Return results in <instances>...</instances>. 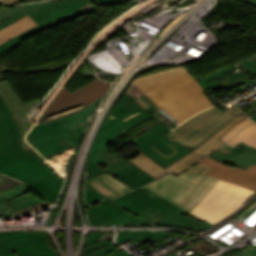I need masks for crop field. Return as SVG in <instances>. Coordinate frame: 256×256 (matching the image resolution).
I'll list each match as a JSON object with an SVG mask.
<instances>
[{"label": "crop field", "instance_id": "crop-field-1", "mask_svg": "<svg viewBox=\"0 0 256 256\" xmlns=\"http://www.w3.org/2000/svg\"><path fill=\"white\" fill-rule=\"evenodd\" d=\"M125 94L133 99L146 94L181 123L213 106L183 66L136 78Z\"/></svg>", "mask_w": 256, "mask_h": 256}, {"label": "crop field", "instance_id": "crop-field-2", "mask_svg": "<svg viewBox=\"0 0 256 256\" xmlns=\"http://www.w3.org/2000/svg\"><path fill=\"white\" fill-rule=\"evenodd\" d=\"M210 169L198 162L177 176L170 174L140 190L189 213L218 181L205 176Z\"/></svg>", "mask_w": 256, "mask_h": 256}, {"label": "crop field", "instance_id": "crop-field-3", "mask_svg": "<svg viewBox=\"0 0 256 256\" xmlns=\"http://www.w3.org/2000/svg\"><path fill=\"white\" fill-rule=\"evenodd\" d=\"M0 173L22 180L51 203H56L64 181L36 155L16 158L7 153L0 155Z\"/></svg>", "mask_w": 256, "mask_h": 256}, {"label": "crop field", "instance_id": "crop-field-4", "mask_svg": "<svg viewBox=\"0 0 256 256\" xmlns=\"http://www.w3.org/2000/svg\"><path fill=\"white\" fill-rule=\"evenodd\" d=\"M253 193L248 189L219 180L190 214L215 224L234 212Z\"/></svg>", "mask_w": 256, "mask_h": 256}, {"label": "crop field", "instance_id": "crop-field-5", "mask_svg": "<svg viewBox=\"0 0 256 256\" xmlns=\"http://www.w3.org/2000/svg\"><path fill=\"white\" fill-rule=\"evenodd\" d=\"M241 113L236 105L222 113L213 107L190 118L173 130L168 136L186 147L194 148Z\"/></svg>", "mask_w": 256, "mask_h": 256}, {"label": "crop field", "instance_id": "crop-field-6", "mask_svg": "<svg viewBox=\"0 0 256 256\" xmlns=\"http://www.w3.org/2000/svg\"><path fill=\"white\" fill-rule=\"evenodd\" d=\"M151 117L153 116L124 94L123 98L109 111L97 134L112 143L131 128Z\"/></svg>", "mask_w": 256, "mask_h": 256}, {"label": "crop field", "instance_id": "crop-field-7", "mask_svg": "<svg viewBox=\"0 0 256 256\" xmlns=\"http://www.w3.org/2000/svg\"><path fill=\"white\" fill-rule=\"evenodd\" d=\"M0 256H56L47 243V232L0 233Z\"/></svg>", "mask_w": 256, "mask_h": 256}, {"label": "crop field", "instance_id": "crop-field-8", "mask_svg": "<svg viewBox=\"0 0 256 256\" xmlns=\"http://www.w3.org/2000/svg\"><path fill=\"white\" fill-rule=\"evenodd\" d=\"M54 3L56 2L35 3L22 11L27 13L42 29L45 30L47 28L98 10L92 2H89L87 4L52 17L46 10L50 8Z\"/></svg>", "mask_w": 256, "mask_h": 256}, {"label": "crop field", "instance_id": "crop-field-9", "mask_svg": "<svg viewBox=\"0 0 256 256\" xmlns=\"http://www.w3.org/2000/svg\"><path fill=\"white\" fill-rule=\"evenodd\" d=\"M61 134L60 129L52 121L35 126L27 139L33 147L48 158L70 148L61 143Z\"/></svg>", "mask_w": 256, "mask_h": 256}, {"label": "crop field", "instance_id": "crop-field-10", "mask_svg": "<svg viewBox=\"0 0 256 256\" xmlns=\"http://www.w3.org/2000/svg\"><path fill=\"white\" fill-rule=\"evenodd\" d=\"M109 85L110 83L97 79L71 94L64 90L60 92L45 114L58 111L80 102L89 105L104 95Z\"/></svg>", "mask_w": 256, "mask_h": 256}, {"label": "crop field", "instance_id": "crop-field-11", "mask_svg": "<svg viewBox=\"0 0 256 256\" xmlns=\"http://www.w3.org/2000/svg\"><path fill=\"white\" fill-rule=\"evenodd\" d=\"M7 152L12 157L32 155L20 147L17 125L0 97V154Z\"/></svg>", "mask_w": 256, "mask_h": 256}, {"label": "crop field", "instance_id": "crop-field-12", "mask_svg": "<svg viewBox=\"0 0 256 256\" xmlns=\"http://www.w3.org/2000/svg\"><path fill=\"white\" fill-rule=\"evenodd\" d=\"M200 162L213 167L207 176L228 181L256 191V169L248 168L246 170H242L220 163L209 157L201 160Z\"/></svg>", "mask_w": 256, "mask_h": 256}, {"label": "crop field", "instance_id": "crop-field-13", "mask_svg": "<svg viewBox=\"0 0 256 256\" xmlns=\"http://www.w3.org/2000/svg\"><path fill=\"white\" fill-rule=\"evenodd\" d=\"M246 116L244 114H241L231 120L228 124H226L222 129H220L214 136L209 138L207 141H205L202 145L195 148L193 152L186 155L179 161L173 163L172 165L166 167L170 172L179 173L188 166L192 165L193 163L197 162L201 158L207 156L208 154L214 152L216 149L220 148L224 143L218 141L223 134H225L230 128L235 126L238 122H240L243 118Z\"/></svg>", "mask_w": 256, "mask_h": 256}, {"label": "crop field", "instance_id": "crop-field-14", "mask_svg": "<svg viewBox=\"0 0 256 256\" xmlns=\"http://www.w3.org/2000/svg\"><path fill=\"white\" fill-rule=\"evenodd\" d=\"M0 95L2 96L5 104L11 110L13 117L20 129L21 144H25L26 142L24 141V135L33 125L31 121H29L27 113L31 107L39 103L40 100L24 105L20 97L10 86L8 80L0 82Z\"/></svg>", "mask_w": 256, "mask_h": 256}, {"label": "crop field", "instance_id": "crop-field-15", "mask_svg": "<svg viewBox=\"0 0 256 256\" xmlns=\"http://www.w3.org/2000/svg\"><path fill=\"white\" fill-rule=\"evenodd\" d=\"M186 213L180 209H176L172 213L162 211L157 208L150 207L144 212L137 216L149 222L150 224H171L177 226H185L197 230H205L211 226L201 222L194 221L185 217L183 214Z\"/></svg>", "mask_w": 256, "mask_h": 256}, {"label": "crop field", "instance_id": "crop-field-16", "mask_svg": "<svg viewBox=\"0 0 256 256\" xmlns=\"http://www.w3.org/2000/svg\"><path fill=\"white\" fill-rule=\"evenodd\" d=\"M190 152L189 149L165 135L143 153L165 168Z\"/></svg>", "mask_w": 256, "mask_h": 256}, {"label": "crop field", "instance_id": "crop-field-17", "mask_svg": "<svg viewBox=\"0 0 256 256\" xmlns=\"http://www.w3.org/2000/svg\"><path fill=\"white\" fill-rule=\"evenodd\" d=\"M210 157L243 169L248 168L252 164L256 165V149L242 142L234 148L226 144L211 154Z\"/></svg>", "mask_w": 256, "mask_h": 256}, {"label": "crop field", "instance_id": "crop-field-18", "mask_svg": "<svg viewBox=\"0 0 256 256\" xmlns=\"http://www.w3.org/2000/svg\"><path fill=\"white\" fill-rule=\"evenodd\" d=\"M140 190V189H139ZM138 189L127 193L123 196L118 198L110 199L112 202L117 204L118 206L124 208L125 210L129 211L133 214H138L143 210L149 208V206L161 208L167 211H173L176 207L166 204L157 200L156 198L149 196Z\"/></svg>", "mask_w": 256, "mask_h": 256}, {"label": "crop field", "instance_id": "crop-field-19", "mask_svg": "<svg viewBox=\"0 0 256 256\" xmlns=\"http://www.w3.org/2000/svg\"><path fill=\"white\" fill-rule=\"evenodd\" d=\"M86 182L99 190L108 198L117 197L127 191L132 190L123 184L120 180L108 173L98 175Z\"/></svg>", "mask_w": 256, "mask_h": 256}, {"label": "crop field", "instance_id": "crop-field-20", "mask_svg": "<svg viewBox=\"0 0 256 256\" xmlns=\"http://www.w3.org/2000/svg\"><path fill=\"white\" fill-rule=\"evenodd\" d=\"M102 98L103 96L78 113L56 120V124L59 126L62 132L72 130L87 124L94 115Z\"/></svg>", "mask_w": 256, "mask_h": 256}, {"label": "crop field", "instance_id": "crop-field-21", "mask_svg": "<svg viewBox=\"0 0 256 256\" xmlns=\"http://www.w3.org/2000/svg\"><path fill=\"white\" fill-rule=\"evenodd\" d=\"M89 222L93 225L125 212L108 199L86 207ZM91 224V225H92Z\"/></svg>", "mask_w": 256, "mask_h": 256}, {"label": "crop field", "instance_id": "crop-field-22", "mask_svg": "<svg viewBox=\"0 0 256 256\" xmlns=\"http://www.w3.org/2000/svg\"><path fill=\"white\" fill-rule=\"evenodd\" d=\"M170 131V129L159 123L135 138L132 143L139 147L141 149L140 151L143 152Z\"/></svg>", "mask_w": 256, "mask_h": 256}, {"label": "crop field", "instance_id": "crop-field-23", "mask_svg": "<svg viewBox=\"0 0 256 256\" xmlns=\"http://www.w3.org/2000/svg\"><path fill=\"white\" fill-rule=\"evenodd\" d=\"M135 101L140 104L145 111L156 117L171 129H174L181 124L155 105L146 95L135 99Z\"/></svg>", "mask_w": 256, "mask_h": 256}, {"label": "crop field", "instance_id": "crop-field-24", "mask_svg": "<svg viewBox=\"0 0 256 256\" xmlns=\"http://www.w3.org/2000/svg\"><path fill=\"white\" fill-rule=\"evenodd\" d=\"M35 26H37V24L28 15L25 16L0 31V44Z\"/></svg>", "mask_w": 256, "mask_h": 256}, {"label": "crop field", "instance_id": "crop-field-25", "mask_svg": "<svg viewBox=\"0 0 256 256\" xmlns=\"http://www.w3.org/2000/svg\"><path fill=\"white\" fill-rule=\"evenodd\" d=\"M130 161L156 179L170 173L141 152Z\"/></svg>", "mask_w": 256, "mask_h": 256}, {"label": "crop field", "instance_id": "crop-field-26", "mask_svg": "<svg viewBox=\"0 0 256 256\" xmlns=\"http://www.w3.org/2000/svg\"><path fill=\"white\" fill-rule=\"evenodd\" d=\"M28 191L30 190H28L25 186L21 184L15 188H11L5 192L0 193V210L3 211L9 209L7 204L4 202L6 200H8L10 204H12L20 200L34 196Z\"/></svg>", "mask_w": 256, "mask_h": 256}, {"label": "crop field", "instance_id": "crop-field-27", "mask_svg": "<svg viewBox=\"0 0 256 256\" xmlns=\"http://www.w3.org/2000/svg\"><path fill=\"white\" fill-rule=\"evenodd\" d=\"M241 141L256 148V123L248 125L227 144L233 147Z\"/></svg>", "mask_w": 256, "mask_h": 256}, {"label": "crop field", "instance_id": "crop-field-28", "mask_svg": "<svg viewBox=\"0 0 256 256\" xmlns=\"http://www.w3.org/2000/svg\"><path fill=\"white\" fill-rule=\"evenodd\" d=\"M115 224H149L138 217L130 214L129 212H125L121 215H118L114 218L106 220L97 225H115Z\"/></svg>", "mask_w": 256, "mask_h": 256}, {"label": "crop field", "instance_id": "crop-field-29", "mask_svg": "<svg viewBox=\"0 0 256 256\" xmlns=\"http://www.w3.org/2000/svg\"><path fill=\"white\" fill-rule=\"evenodd\" d=\"M89 2L88 0H62L60 2H57L54 4L50 9L47 11L52 15L59 14L61 12H64L66 10H69L71 8L77 7L79 5H82L84 3Z\"/></svg>", "mask_w": 256, "mask_h": 256}, {"label": "crop field", "instance_id": "crop-field-30", "mask_svg": "<svg viewBox=\"0 0 256 256\" xmlns=\"http://www.w3.org/2000/svg\"><path fill=\"white\" fill-rule=\"evenodd\" d=\"M43 31L39 26L30 29L22 34H20L19 36L11 39L10 41L0 45V54H2L3 52H5L6 50H8L9 48H11L12 46L16 45L17 43H19L20 41H23L39 32Z\"/></svg>", "mask_w": 256, "mask_h": 256}, {"label": "crop field", "instance_id": "crop-field-31", "mask_svg": "<svg viewBox=\"0 0 256 256\" xmlns=\"http://www.w3.org/2000/svg\"><path fill=\"white\" fill-rule=\"evenodd\" d=\"M87 125L62 134V143L68 146H76Z\"/></svg>", "mask_w": 256, "mask_h": 256}, {"label": "crop field", "instance_id": "crop-field-32", "mask_svg": "<svg viewBox=\"0 0 256 256\" xmlns=\"http://www.w3.org/2000/svg\"><path fill=\"white\" fill-rule=\"evenodd\" d=\"M161 232L162 231H137V232H135V233L119 240V241H117V243L119 245H121V244H123V243H125V242H127V241H129L133 238L135 240H137L138 243H140V242L145 241V240H147V239H149V238H151V237H153V236H155V235H157Z\"/></svg>", "mask_w": 256, "mask_h": 256}, {"label": "crop field", "instance_id": "crop-field-33", "mask_svg": "<svg viewBox=\"0 0 256 256\" xmlns=\"http://www.w3.org/2000/svg\"><path fill=\"white\" fill-rule=\"evenodd\" d=\"M105 197L103 194H101L99 191H97L96 189H94L92 186H90L88 183H86L85 186V202H86V206L95 203L97 201H100Z\"/></svg>", "mask_w": 256, "mask_h": 256}, {"label": "crop field", "instance_id": "crop-field-34", "mask_svg": "<svg viewBox=\"0 0 256 256\" xmlns=\"http://www.w3.org/2000/svg\"><path fill=\"white\" fill-rule=\"evenodd\" d=\"M235 67H236L235 65L234 66H229V67H227L225 69H222V70H220V71H218L216 73H213V74H211V75H209V76H207V77H205L203 79L198 80L197 83L202 87V89L204 91H206L207 89L210 88L206 82H208V81H210V80H212V79H214V78H216V77H218L220 75H223V74L229 72L231 69H233Z\"/></svg>", "mask_w": 256, "mask_h": 256}, {"label": "crop field", "instance_id": "crop-field-35", "mask_svg": "<svg viewBox=\"0 0 256 256\" xmlns=\"http://www.w3.org/2000/svg\"><path fill=\"white\" fill-rule=\"evenodd\" d=\"M250 122H252V120L249 119L248 117H246L240 123H238L235 127H233L231 130H229V132H227L225 135H223L219 140L226 143L235 133H237L242 127H244L245 125H247Z\"/></svg>", "mask_w": 256, "mask_h": 256}, {"label": "crop field", "instance_id": "crop-field-36", "mask_svg": "<svg viewBox=\"0 0 256 256\" xmlns=\"http://www.w3.org/2000/svg\"><path fill=\"white\" fill-rule=\"evenodd\" d=\"M29 5L18 6L14 9L5 6L4 8L0 9V22L9 18L10 16L14 15L15 13L21 11L22 9H24L25 7H27Z\"/></svg>", "mask_w": 256, "mask_h": 256}, {"label": "crop field", "instance_id": "crop-field-37", "mask_svg": "<svg viewBox=\"0 0 256 256\" xmlns=\"http://www.w3.org/2000/svg\"><path fill=\"white\" fill-rule=\"evenodd\" d=\"M42 202L41 199H39L38 197L34 196L32 198L20 201L18 203L12 204V207L15 209V211L20 210V209H25L29 206H32L34 204L40 203Z\"/></svg>", "mask_w": 256, "mask_h": 256}, {"label": "crop field", "instance_id": "crop-field-38", "mask_svg": "<svg viewBox=\"0 0 256 256\" xmlns=\"http://www.w3.org/2000/svg\"><path fill=\"white\" fill-rule=\"evenodd\" d=\"M195 244H196V246H193V245H190V246L195 247L207 254L219 250L217 247H215L214 245H212L211 243H209L208 241L203 240V239L196 242Z\"/></svg>", "mask_w": 256, "mask_h": 256}, {"label": "crop field", "instance_id": "crop-field-39", "mask_svg": "<svg viewBox=\"0 0 256 256\" xmlns=\"http://www.w3.org/2000/svg\"><path fill=\"white\" fill-rule=\"evenodd\" d=\"M119 251L118 249H116L113 245L106 247V248H102L96 251H92L89 253H85L83 254V256H105V255H109L112 254L114 252Z\"/></svg>", "mask_w": 256, "mask_h": 256}, {"label": "crop field", "instance_id": "crop-field-40", "mask_svg": "<svg viewBox=\"0 0 256 256\" xmlns=\"http://www.w3.org/2000/svg\"><path fill=\"white\" fill-rule=\"evenodd\" d=\"M22 183V182H21ZM20 184L19 182L0 175V192Z\"/></svg>", "mask_w": 256, "mask_h": 256}, {"label": "crop field", "instance_id": "crop-field-41", "mask_svg": "<svg viewBox=\"0 0 256 256\" xmlns=\"http://www.w3.org/2000/svg\"><path fill=\"white\" fill-rule=\"evenodd\" d=\"M232 256H256V246L250 244Z\"/></svg>", "mask_w": 256, "mask_h": 256}, {"label": "crop field", "instance_id": "crop-field-42", "mask_svg": "<svg viewBox=\"0 0 256 256\" xmlns=\"http://www.w3.org/2000/svg\"><path fill=\"white\" fill-rule=\"evenodd\" d=\"M109 245H111V242H109L108 240L101 241L98 243L91 244L87 247H84V252L92 251V250L99 249Z\"/></svg>", "mask_w": 256, "mask_h": 256}, {"label": "crop field", "instance_id": "crop-field-43", "mask_svg": "<svg viewBox=\"0 0 256 256\" xmlns=\"http://www.w3.org/2000/svg\"><path fill=\"white\" fill-rule=\"evenodd\" d=\"M25 15H27V14H25V13L22 12V11L19 12V13H17L16 15H14V16L10 17L9 19H7V20L3 21L2 23H0V29H2V28H4V27L8 26L9 24H11V23H13L14 21H16V20L22 18V17L25 16Z\"/></svg>", "mask_w": 256, "mask_h": 256}, {"label": "crop field", "instance_id": "crop-field-44", "mask_svg": "<svg viewBox=\"0 0 256 256\" xmlns=\"http://www.w3.org/2000/svg\"><path fill=\"white\" fill-rule=\"evenodd\" d=\"M101 237H103V235L99 232L89 234V236L87 237L85 246L94 242H98L96 239Z\"/></svg>", "mask_w": 256, "mask_h": 256}, {"label": "crop field", "instance_id": "crop-field-45", "mask_svg": "<svg viewBox=\"0 0 256 256\" xmlns=\"http://www.w3.org/2000/svg\"><path fill=\"white\" fill-rule=\"evenodd\" d=\"M251 63L248 61L242 64L241 66L244 67L246 70H248L254 76L256 75V66Z\"/></svg>", "mask_w": 256, "mask_h": 256}, {"label": "crop field", "instance_id": "crop-field-46", "mask_svg": "<svg viewBox=\"0 0 256 256\" xmlns=\"http://www.w3.org/2000/svg\"><path fill=\"white\" fill-rule=\"evenodd\" d=\"M117 232H118V235H117L116 241L125 237V236H127V235H129V234H131V233H133V232H135V231H117Z\"/></svg>", "mask_w": 256, "mask_h": 256}, {"label": "crop field", "instance_id": "crop-field-47", "mask_svg": "<svg viewBox=\"0 0 256 256\" xmlns=\"http://www.w3.org/2000/svg\"><path fill=\"white\" fill-rule=\"evenodd\" d=\"M170 235L171 234H168V233L164 232V233H161V234H159V235H157V236H155V237H153L151 239L154 240L155 242H157V241H159L161 239H164V238H166V237H168Z\"/></svg>", "mask_w": 256, "mask_h": 256}, {"label": "crop field", "instance_id": "crop-field-48", "mask_svg": "<svg viewBox=\"0 0 256 256\" xmlns=\"http://www.w3.org/2000/svg\"><path fill=\"white\" fill-rule=\"evenodd\" d=\"M21 147L26 150V151H30V152H33L35 153L39 158L40 160H43V158L41 156H39L30 146H28L27 144L25 145H21Z\"/></svg>", "mask_w": 256, "mask_h": 256}, {"label": "crop field", "instance_id": "crop-field-49", "mask_svg": "<svg viewBox=\"0 0 256 256\" xmlns=\"http://www.w3.org/2000/svg\"><path fill=\"white\" fill-rule=\"evenodd\" d=\"M19 1H21V0H0V3L14 5L15 3L19 2Z\"/></svg>", "mask_w": 256, "mask_h": 256}, {"label": "crop field", "instance_id": "crop-field-50", "mask_svg": "<svg viewBox=\"0 0 256 256\" xmlns=\"http://www.w3.org/2000/svg\"><path fill=\"white\" fill-rule=\"evenodd\" d=\"M129 255H131V254H129L127 251H125V250H122V251H120V252H117V253H115V254H112V255H109V256H129Z\"/></svg>", "mask_w": 256, "mask_h": 256}, {"label": "crop field", "instance_id": "crop-field-51", "mask_svg": "<svg viewBox=\"0 0 256 256\" xmlns=\"http://www.w3.org/2000/svg\"><path fill=\"white\" fill-rule=\"evenodd\" d=\"M104 3H116V2H122V1H128V0H98Z\"/></svg>", "mask_w": 256, "mask_h": 256}, {"label": "crop field", "instance_id": "crop-field-52", "mask_svg": "<svg viewBox=\"0 0 256 256\" xmlns=\"http://www.w3.org/2000/svg\"><path fill=\"white\" fill-rule=\"evenodd\" d=\"M250 118L256 122V114L251 116Z\"/></svg>", "mask_w": 256, "mask_h": 256}, {"label": "crop field", "instance_id": "crop-field-53", "mask_svg": "<svg viewBox=\"0 0 256 256\" xmlns=\"http://www.w3.org/2000/svg\"><path fill=\"white\" fill-rule=\"evenodd\" d=\"M6 203L9 205V207L11 208L12 212H14L13 208L11 207V205L8 203V201H6Z\"/></svg>", "mask_w": 256, "mask_h": 256}, {"label": "crop field", "instance_id": "crop-field-54", "mask_svg": "<svg viewBox=\"0 0 256 256\" xmlns=\"http://www.w3.org/2000/svg\"><path fill=\"white\" fill-rule=\"evenodd\" d=\"M0 215H1V212H0Z\"/></svg>", "mask_w": 256, "mask_h": 256}, {"label": "crop field", "instance_id": "crop-field-55", "mask_svg": "<svg viewBox=\"0 0 256 256\" xmlns=\"http://www.w3.org/2000/svg\"><path fill=\"white\" fill-rule=\"evenodd\" d=\"M31 1H33V0H31Z\"/></svg>", "mask_w": 256, "mask_h": 256}]
</instances>
